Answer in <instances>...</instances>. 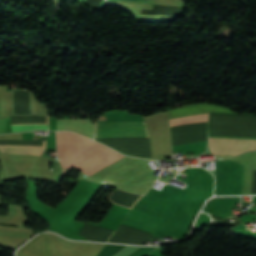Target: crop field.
Instances as JSON below:
<instances>
[{"label": "crop field", "instance_id": "crop-field-1", "mask_svg": "<svg viewBox=\"0 0 256 256\" xmlns=\"http://www.w3.org/2000/svg\"><path fill=\"white\" fill-rule=\"evenodd\" d=\"M57 136V151L62 167L65 168H75L82 171L84 174L91 176L100 169L112 164L113 162L125 157L124 155L98 144L92 140L88 141L86 138L78 135V152L81 161V166L79 162L78 152H77V135L69 132H56ZM81 171V172H82Z\"/></svg>", "mask_w": 256, "mask_h": 256}, {"label": "crop field", "instance_id": "crop-field-2", "mask_svg": "<svg viewBox=\"0 0 256 256\" xmlns=\"http://www.w3.org/2000/svg\"><path fill=\"white\" fill-rule=\"evenodd\" d=\"M206 111L235 113L222 106L208 104L203 106H193L170 110L168 111V114L169 117H172ZM207 116L208 113L199 114L195 116L178 117L170 119L169 125L172 126L189 122L204 121L207 120ZM209 146L212 154L236 155L252 149H256V139L209 137Z\"/></svg>", "mask_w": 256, "mask_h": 256}, {"label": "crop field", "instance_id": "crop-field-3", "mask_svg": "<svg viewBox=\"0 0 256 256\" xmlns=\"http://www.w3.org/2000/svg\"><path fill=\"white\" fill-rule=\"evenodd\" d=\"M149 136L144 119L96 124L95 140Z\"/></svg>", "mask_w": 256, "mask_h": 256}, {"label": "crop field", "instance_id": "crop-field-4", "mask_svg": "<svg viewBox=\"0 0 256 256\" xmlns=\"http://www.w3.org/2000/svg\"><path fill=\"white\" fill-rule=\"evenodd\" d=\"M57 130H73L93 139L94 125L90 119H59Z\"/></svg>", "mask_w": 256, "mask_h": 256}, {"label": "crop field", "instance_id": "crop-field-5", "mask_svg": "<svg viewBox=\"0 0 256 256\" xmlns=\"http://www.w3.org/2000/svg\"><path fill=\"white\" fill-rule=\"evenodd\" d=\"M0 149L4 153H13V154H34L42 155L45 147L37 146H6L0 145Z\"/></svg>", "mask_w": 256, "mask_h": 256}, {"label": "crop field", "instance_id": "crop-field-6", "mask_svg": "<svg viewBox=\"0 0 256 256\" xmlns=\"http://www.w3.org/2000/svg\"><path fill=\"white\" fill-rule=\"evenodd\" d=\"M48 124H30V125H11L12 132L30 131V130H47Z\"/></svg>", "mask_w": 256, "mask_h": 256}, {"label": "crop field", "instance_id": "crop-field-7", "mask_svg": "<svg viewBox=\"0 0 256 256\" xmlns=\"http://www.w3.org/2000/svg\"><path fill=\"white\" fill-rule=\"evenodd\" d=\"M127 1H148V0H127Z\"/></svg>", "mask_w": 256, "mask_h": 256}]
</instances>
